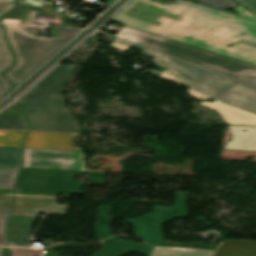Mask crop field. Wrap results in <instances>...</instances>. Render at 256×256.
Returning a JSON list of instances; mask_svg holds the SVG:
<instances>
[{
	"mask_svg": "<svg viewBox=\"0 0 256 256\" xmlns=\"http://www.w3.org/2000/svg\"><path fill=\"white\" fill-rule=\"evenodd\" d=\"M237 2H240V1H242V0H236Z\"/></svg>",
	"mask_w": 256,
	"mask_h": 256,
	"instance_id": "29",
	"label": "crop field"
},
{
	"mask_svg": "<svg viewBox=\"0 0 256 256\" xmlns=\"http://www.w3.org/2000/svg\"><path fill=\"white\" fill-rule=\"evenodd\" d=\"M256 14V0H245L240 3Z\"/></svg>",
	"mask_w": 256,
	"mask_h": 256,
	"instance_id": "25",
	"label": "crop field"
},
{
	"mask_svg": "<svg viewBox=\"0 0 256 256\" xmlns=\"http://www.w3.org/2000/svg\"><path fill=\"white\" fill-rule=\"evenodd\" d=\"M73 134L29 132L24 147L79 150L73 144Z\"/></svg>",
	"mask_w": 256,
	"mask_h": 256,
	"instance_id": "10",
	"label": "crop field"
},
{
	"mask_svg": "<svg viewBox=\"0 0 256 256\" xmlns=\"http://www.w3.org/2000/svg\"><path fill=\"white\" fill-rule=\"evenodd\" d=\"M104 247L92 256H122L132 250L147 254L150 256L153 246L145 243L125 241L116 237H111L101 242Z\"/></svg>",
	"mask_w": 256,
	"mask_h": 256,
	"instance_id": "11",
	"label": "crop field"
},
{
	"mask_svg": "<svg viewBox=\"0 0 256 256\" xmlns=\"http://www.w3.org/2000/svg\"><path fill=\"white\" fill-rule=\"evenodd\" d=\"M16 4H0V17L15 7Z\"/></svg>",
	"mask_w": 256,
	"mask_h": 256,
	"instance_id": "26",
	"label": "crop field"
},
{
	"mask_svg": "<svg viewBox=\"0 0 256 256\" xmlns=\"http://www.w3.org/2000/svg\"><path fill=\"white\" fill-rule=\"evenodd\" d=\"M116 37L131 40L190 63L229 74L256 86V66L123 26Z\"/></svg>",
	"mask_w": 256,
	"mask_h": 256,
	"instance_id": "4",
	"label": "crop field"
},
{
	"mask_svg": "<svg viewBox=\"0 0 256 256\" xmlns=\"http://www.w3.org/2000/svg\"><path fill=\"white\" fill-rule=\"evenodd\" d=\"M86 174L89 184L103 185L105 173L23 168L17 191L81 195L83 183L73 180Z\"/></svg>",
	"mask_w": 256,
	"mask_h": 256,
	"instance_id": "6",
	"label": "crop field"
},
{
	"mask_svg": "<svg viewBox=\"0 0 256 256\" xmlns=\"http://www.w3.org/2000/svg\"><path fill=\"white\" fill-rule=\"evenodd\" d=\"M227 126L230 128L232 138L224 145L223 149L256 151V127ZM242 130H247V132Z\"/></svg>",
	"mask_w": 256,
	"mask_h": 256,
	"instance_id": "12",
	"label": "crop field"
},
{
	"mask_svg": "<svg viewBox=\"0 0 256 256\" xmlns=\"http://www.w3.org/2000/svg\"><path fill=\"white\" fill-rule=\"evenodd\" d=\"M19 2L23 3V4H26L28 6H31V7L40 9L42 11L54 14V15H58V16H61V17L67 16V14L61 13V12H58L59 14H56L57 11L53 10L52 5H49L47 3H44V2H41V1H38V0H19Z\"/></svg>",
	"mask_w": 256,
	"mask_h": 256,
	"instance_id": "23",
	"label": "crop field"
},
{
	"mask_svg": "<svg viewBox=\"0 0 256 256\" xmlns=\"http://www.w3.org/2000/svg\"><path fill=\"white\" fill-rule=\"evenodd\" d=\"M27 132L0 131V146L22 147Z\"/></svg>",
	"mask_w": 256,
	"mask_h": 256,
	"instance_id": "20",
	"label": "crop field"
},
{
	"mask_svg": "<svg viewBox=\"0 0 256 256\" xmlns=\"http://www.w3.org/2000/svg\"><path fill=\"white\" fill-rule=\"evenodd\" d=\"M189 1L207 5L214 8H218V9H222V10L226 8H233L236 5H238L233 0H189Z\"/></svg>",
	"mask_w": 256,
	"mask_h": 256,
	"instance_id": "22",
	"label": "crop field"
},
{
	"mask_svg": "<svg viewBox=\"0 0 256 256\" xmlns=\"http://www.w3.org/2000/svg\"><path fill=\"white\" fill-rule=\"evenodd\" d=\"M233 9L236 16L187 1L132 0L111 20L256 65V16L240 5Z\"/></svg>",
	"mask_w": 256,
	"mask_h": 256,
	"instance_id": "1",
	"label": "crop field"
},
{
	"mask_svg": "<svg viewBox=\"0 0 256 256\" xmlns=\"http://www.w3.org/2000/svg\"><path fill=\"white\" fill-rule=\"evenodd\" d=\"M65 207L58 205L55 199L15 196L7 221L9 246L30 247L32 223L39 212L63 213Z\"/></svg>",
	"mask_w": 256,
	"mask_h": 256,
	"instance_id": "7",
	"label": "crop field"
},
{
	"mask_svg": "<svg viewBox=\"0 0 256 256\" xmlns=\"http://www.w3.org/2000/svg\"><path fill=\"white\" fill-rule=\"evenodd\" d=\"M110 46L122 52L132 47L141 50L155 59L151 63L166 70L160 78L189 87V95L196 99H215L200 105L216 110L225 123L256 126V88L118 38Z\"/></svg>",
	"mask_w": 256,
	"mask_h": 256,
	"instance_id": "2",
	"label": "crop field"
},
{
	"mask_svg": "<svg viewBox=\"0 0 256 256\" xmlns=\"http://www.w3.org/2000/svg\"><path fill=\"white\" fill-rule=\"evenodd\" d=\"M44 1H46V0H44Z\"/></svg>",
	"mask_w": 256,
	"mask_h": 256,
	"instance_id": "31",
	"label": "crop field"
},
{
	"mask_svg": "<svg viewBox=\"0 0 256 256\" xmlns=\"http://www.w3.org/2000/svg\"><path fill=\"white\" fill-rule=\"evenodd\" d=\"M0 256H11V252L8 251V248H0Z\"/></svg>",
	"mask_w": 256,
	"mask_h": 256,
	"instance_id": "27",
	"label": "crop field"
},
{
	"mask_svg": "<svg viewBox=\"0 0 256 256\" xmlns=\"http://www.w3.org/2000/svg\"><path fill=\"white\" fill-rule=\"evenodd\" d=\"M27 107L15 103L0 114V128L28 130L29 124L25 117Z\"/></svg>",
	"mask_w": 256,
	"mask_h": 256,
	"instance_id": "13",
	"label": "crop field"
},
{
	"mask_svg": "<svg viewBox=\"0 0 256 256\" xmlns=\"http://www.w3.org/2000/svg\"><path fill=\"white\" fill-rule=\"evenodd\" d=\"M213 253L209 250L155 247L151 256H212Z\"/></svg>",
	"mask_w": 256,
	"mask_h": 256,
	"instance_id": "16",
	"label": "crop field"
},
{
	"mask_svg": "<svg viewBox=\"0 0 256 256\" xmlns=\"http://www.w3.org/2000/svg\"><path fill=\"white\" fill-rule=\"evenodd\" d=\"M13 2L15 3V2H16V0H13Z\"/></svg>",
	"mask_w": 256,
	"mask_h": 256,
	"instance_id": "30",
	"label": "crop field"
},
{
	"mask_svg": "<svg viewBox=\"0 0 256 256\" xmlns=\"http://www.w3.org/2000/svg\"><path fill=\"white\" fill-rule=\"evenodd\" d=\"M5 27L7 39L17 63L4 75L10 78L15 86L44 64L81 31L62 28L60 30L61 34L57 38H43L28 34L29 31L23 30L24 26L5 25Z\"/></svg>",
	"mask_w": 256,
	"mask_h": 256,
	"instance_id": "5",
	"label": "crop field"
},
{
	"mask_svg": "<svg viewBox=\"0 0 256 256\" xmlns=\"http://www.w3.org/2000/svg\"><path fill=\"white\" fill-rule=\"evenodd\" d=\"M14 62L4 40L3 29L0 27V74ZM12 89L9 81L0 75V98Z\"/></svg>",
	"mask_w": 256,
	"mask_h": 256,
	"instance_id": "15",
	"label": "crop field"
},
{
	"mask_svg": "<svg viewBox=\"0 0 256 256\" xmlns=\"http://www.w3.org/2000/svg\"><path fill=\"white\" fill-rule=\"evenodd\" d=\"M99 216L95 222L97 240H102L111 235L110 224L112 218L108 216V212L111 211L110 207H99Z\"/></svg>",
	"mask_w": 256,
	"mask_h": 256,
	"instance_id": "17",
	"label": "crop field"
},
{
	"mask_svg": "<svg viewBox=\"0 0 256 256\" xmlns=\"http://www.w3.org/2000/svg\"><path fill=\"white\" fill-rule=\"evenodd\" d=\"M22 148L0 147V166H22Z\"/></svg>",
	"mask_w": 256,
	"mask_h": 256,
	"instance_id": "18",
	"label": "crop field"
},
{
	"mask_svg": "<svg viewBox=\"0 0 256 256\" xmlns=\"http://www.w3.org/2000/svg\"><path fill=\"white\" fill-rule=\"evenodd\" d=\"M74 66L59 65L18 102L29 107L30 130L77 133L79 128L60 93Z\"/></svg>",
	"mask_w": 256,
	"mask_h": 256,
	"instance_id": "3",
	"label": "crop field"
},
{
	"mask_svg": "<svg viewBox=\"0 0 256 256\" xmlns=\"http://www.w3.org/2000/svg\"><path fill=\"white\" fill-rule=\"evenodd\" d=\"M216 256H256V242L225 240Z\"/></svg>",
	"mask_w": 256,
	"mask_h": 256,
	"instance_id": "14",
	"label": "crop field"
},
{
	"mask_svg": "<svg viewBox=\"0 0 256 256\" xmlns=\"http://www.w3.org/2000/svg\"><path fill=\"white\" fill-rule=\"evenodd\" d=\"M13 256H37L39 252L32 249L11 248Z\"/></svg>",
	"mask_w": 256,
	"mask_h": 256,
	"instance_id": "24",
	"label": "crop field"
},
{
	"mask_svg": "<svg viewBox=\"0 0 256 256\" xmlns=\"http://www.w3.org/2000/svg\"><path fill=\"white\" fill-rule=\"evenodd\" d=\"M23 167L87 171L81 151L24 148Z\"/></svg>",
	"mask_w": 256,
	"mask_h": 256,
	"instance_id": "9",
	"label": "crop field"
},
{
	"mask_svg": "<svg viewBox=\"0 0 256 256\" xmlns=\"http://www.w3.org/2000/svg\"><path fill=\"white\" fill-rule=\"evenodd\" d=\"M13 196L0 195V245L8 246L3 236L5 231V221L10 212Z\"/></svg>",
	"mask_w": 256,
	"mask_h": 256,
	"instance_id": "19",
	"label": "crop field"
},
{
	"mask_svg": "<svg viewBox=\"0 0 256 256\" xmlns=\"http://www.w3.org/2000/svg\"><path fill=\"white\" fill-rule=\"evenodd\" d=\"M19 169L0 168V188L14 189Z\"/></svg>",
	"mask_w": 256,
	"mask_h": 256,
	"instance_id": "21",
	"label": "crop field"
},
{
	"mask_svg": "<svg viewBox=\"0 0 256 256\" xmlns=\"http://www.w3.org/2000/svg\"><path fill=\"white\" fill-rule=\"evenodd\" d=\"M188 192H178L173 208L155 206V213L138 220H127L134 225L135 236L144 238V241L155 246H163L161 225L174 218L188 217Z\"/></svg>",
	"mask_w": 256,
	"mask_h": 256,
	"instance_id": "8",
	"label": "crop field"
},
{
	"mask_svg": "<svg viewBox=\"0 0 256 256\" xmlns=\"http://www.w3.org/2000/svg\"><path fill=\"white\" fill-rule=\"evenodd\" d=\"M116 0H108L106 4H104V6H106L107 8L109 6H111Z\"/></svg>",
	"mask_w": 256,
	"mask_h": 256,
	"instance_id": "28",
	"label": "crop field"
}]
</instances>
